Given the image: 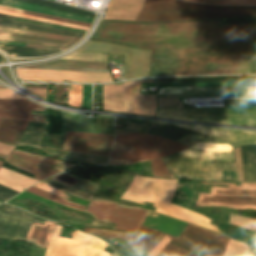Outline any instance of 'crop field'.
<instances>
[{
    "mask_svg": "<svg viewBox=\"0 0 256 256\" xmlns=\"http://www.w3.org/2000/svg\"><path fill=\"white\" fill-rule=\"evenodd\" d=\"M252 23L221 20L163 24L101 22L93 39L152 50L148 76L243 73L251 63Z\"/></svg>",
    "mask_w": 256,
    "mask_h": 256,
    "instance_id": "8a807250",
    "label": "crop field"
},
{
    "mask_svg": "<svg viewBox=\"0 0 256 256\" xmlns=\"http://www.w3.org/2000/svg\"><path fill=\"white\" fill-rule=\"evenodd\" d=\"M256 16L254 7H215L179 0H146L136 21L221 19V17Z\"/></svg>",
    "mask_w": 256,
    "mask_h": 256,
    "instance_id": "ac0d7876",
    "label": "crop field"
},
{
    "mask_svg": "<svg viewBox=\"0 0 256 256\" xmlns=\"http://www.w3.org/2000/svg\"><path fill=\"white\" fill-rule=\"evenodd\" d=\"M187 147L158 136L116 131L108 165H130L163 158Z\"/></svg>",
    "mask_w": 256,
    "mask_h": 256,
    "instance_id": "34b2d1b8",
    "label": "crop field"
},
{
    "mask_svg": "<svg viewBox=\"0 0 256 256\" xmlns=\"http://www.w3.org/2000/svg\"><path fill=\"white\" fill-rule=\"evenodd\" d=\"M178 126L209 136L198 144L176 153L182 156L234 162L233 147L256 144V133L252 132L195 126Z\"/></svg>",
    "mask_w": 256,
    "mask_h": 256,
    "instance_id": "412701ff",
    "label": "crop field"
},
{
    "mask_svg": "<svg viewBox=\"0 0 256 256\" xmlns=\"http://www.w3.org/2000/svg\"><path fill=\"white\" fill-rule=\"evenodd\" d=\"M181 115L256 116V107L159 108L156 117L197 122L256 126V117H189Z\"/></svg>",
    "mask_w": 256,
    "mask_h": 256,
    "instance_id": "f4fd0767",
    "label": "crop field"
},
{
    "mask_svg": "<svg viewBox=\"0 0 256 256\" xmlns=\"http://www.w3.org/2000/svg\"><path fill=\"white\" fill-rule=\"evenodd\" d=\"M229 185L228 188L212 187L210 194L199 193L196 206H217L234 209H256V183H203Z\"/></svg>",
    "mask_w": 256,
    "mask_h": 256,
    "instance_id": "dd49c442",
    "label": "crop field"
},
{
    "mask_svg": "<svg viewBox=\"0 0 256 256\" xmlns=\"http://www.w3.org/2000/svg\"><path fill=\"white\" fill-rule=\"evenodd\" d=\"M147 211L93 197L85 212L91 214L97 221L116 224L115 229L136 232L142 225Z\"/></svg>",
    "mask_w": 256,
    "mask_h": 256,
    "instance_id": "e52e79f7",
    "label": "crop field"
},
{
    "mask_svg": "<svg viewBox=\"0 0 256 256\" xmlns=\"http://www.w3.org/2000/svg\"><path fill=\"white\" fill-rule=\"evenodd\" d=\"M174 178L220 181L221 171H235L234 163L171 155L163 158Z\"/></svg>",
    "mask_w": 256,
    "mask_h": 256,
    "instance_id": "d8731c3e",
    "label": "crop field"
},
{
    "mask_svg": "<svg viewBox=\"0 0 256 256\" xmlns=\"http://www.w3.org/2000/svg\"><path fill=\"white\" fill-rule=\"evenodd\" d=\"M60 226H55L45 256H110L103 251L106 243L81 232L73 231V239L58 237Z\"/></svg>",
    "mask_w": 256,
    "mask_h": 256,
    "instance_id": "5a996713",
    "label": "crop field"
},
{
    "mask_svg": "<svg viewBox=\"0 0 256 256\" xmlns=\"http://www.w3.org/2000/svg\"><path fill=\"white\" fill-rule=\"evenodd\" d=\"M229 241V237L216 234L191 224L178 237L171 242L184 246L192 252L196 249L208 256H222Z\"/></svg>",
    "mask_w": 256,
    "mask_h": 256,
    "instance_id": "3316defc",
    "label": "crop field"
},
{
    "mask_svg": "<svg viewBox=\"0 0 256 256\" xmlns=\"http://www.w3.org/2000/svg\"><path fill=\"white\" fill-rule=\"evenodd\" d=\"M4 161L21 170L34 174V179L39 181L53 174L65 172L64 169L68 170L77 166L76 164L61 162L54 158L29 154L17 150L12 152Z\"/></svg>",
    "mask_w": 256,
    "mask_h": 256,
    "instance_id": "28ad6ade",
    "label": "crop field"
},
{
    "mask_svg": "<svg viewBox=\"0 0 256 256\" xmlns=\"http://www.w3.org/2000/svg\"><path fill=\"white\" fill-rule=\"evenodd\" d=\"M33 221L43 222L35 216L14 206H0V239L24 240Z\"/></svg>",
    "mask_w": 256,
    "mask_h": 256,
    "instance_id": "d1516ede",
    "label": "crop field"
},
{
    "mask_svg": "<svg viewBox=\"0 0 256 256\" xmlns=\"http://www.w3.org/2000/svg\"><path fill=\"white\" fill-rule=\"evenodd\" d=\"M113 137L114 135H99L66 131L63 149L108 157L112 146Z\"/></svg>",
    "mask_w": 256,
    "mask_h": 256,
    "instance_id": "22f410ed",
    "label": "crop field"
},
{
    "mask_svg": "<svg viewBox=\"0 0 256 256\" xmlns=\"http://www.w3.org/2000/svg\"><path fill=\"white\" fill-rule=\"evenodd\" d=\"M18 77L22 80H39V81H55L62 82L63 80L77 81V82H112L109 73H81V72H66V71H47V70H30L17 69Z\"/></svg>",
    "mask_w": 256,
    "mask_h": 256,
    "instance_id": "cbeb9de0",
    "label": "crop field"
},
{
    "mask_svg": "<svg viewBox=\"0 0 256 256\" xmlns=\"http://www.w3.org/2000/svg\"><path fill=\"white\" fill-rule=\"evenodd\" d=\"M122 199L131 201V202H135V203H139V204H141L140 202H145V201L155 203L154 207H156V212L169 215L171 217L180 219V220L188 222V223L204 226V227H207L209 229H212V230L220 233V231L217 229V227L209 224L210 220L208 218H206L200 214L191 212L189 210L183 209L181 207L175 206L173 204L146 198V197H142V196H138V195H134V194H130V193H126V192L124 193Z\"/></svg>",
    "mask_w": 256,
    "mask_h": 256,
    "instance_id": "5142ce71",
    "label": "crop field"
},
{
    "mask_svg": "<svg viewBox=\"0 0 256 256\" xmlns=\"http://www.w3.org/2000/svg\"><path fill=\"white\" fill-rule=\"evenodd\" d=\"M178 179L160 180L135 176L127 192L141 194L172 202Z\"/></svg>",
    "mask_w": 256,
    "mask_h": 256,
    "instance_id": "d9b57169",
    "label": "crop field"
},
{
    "mask_svg": "<svg viewBox=\"0 0 256 256\" xmlns=\"http://www.w3.org/2000/svg\"><path fill=\"white\" fill-rule=\"evenodd\" d=\"M256 96V87L159 88L158 97Z\"/></svg>",
    "mask_w": 256,
    "mask_h": 256,
    "instance_id": "733c2abd",
    "label": "crop field"
},
{
    "mask_svg": "<svg viewBox=\"0 0 256 256\" xmlns=\"http://www.w3.org/2000/svg\"><path fill=\"white\" fill-rule=\"evenodd\" d=\"M145 133L169 138L188 146H192L198 141L207 137L202 134L180 128L173 124L158 122H153Z\"/></svg>",
    "mask_w": 256,
    "mask_h": 256,
    "instance_id": "4a817a6b",
    "label": "crop field"
},
{
    "mask_svg": "<svg viewBox=\"0 0 256 256\" xmlns=\"http://www.w3.org/2000/svg\"><path fill=\"white\" fill-rule=\"evenodd\" d=\"M143 225L178 237L188 223L149 210Z\"/></svg>",
    "mask_w": 256,
    "mask_h": 256,
    "instance_id": "bc2a9ffb",
    "label": "crop field"
},
{
    "mask_svg": "<svg viewBox=\"0 0 256 256\" xmlns=\"http://www.w3.org/2000/svg\"><path fill=\"white\" fill-rule=\"evenodd\" d=\"M62 123L61 134H65V130L99 133L98 118L88 119L81 115L64 113Z\"/></svg>",
    "mask_w": 256,
    "mask_h": 256,
    "instance_id": "214f88e0",
    "label": "crop field"
},
{
    "mask_svg": "<svg viewBox=\"0 0 256 256\" xmlns=\"http://www.w3.org/2000/svg\"><path fill=\"white\" fill-rule=\"evenodd\" d=\"M2 5L8 6V7H13V8H18V9H23V10H28V11H33V12H38V13H43V14H48V15H53V16H58V17H63V18H68V19H73V20H78V21H83V22H88L91 24L94 20L92 18L79 16V15H75V14H71V13H67V12H62V11H58V10H54V9H49V8L32 5V4H28V3H24V2H19V1H15V0H4Z\"/></svg>",
    "mask_w": 256,
    "mask_h": 256,
    "instance_id": "92a150f3",
    "label": "crop field"
},
{
    "mask_svg": "<svg viewBox=\"0 0 256 256\" xmlns=\"http://www.w3.org/2000/svg\"><path fill=\"white\" fill-rule=\"evenodd\" d=\"M40 149H43L47 152V156L59 158L66 161H72L77 163H88L93 165H106L107 159L105 157L63 151L59 149L49 148V147H42L39 146Z\"/></svg>",
    "mask_w": 256,
    "mask_h": 256,
    "instance_id": "dafd665d",
    "label": "crop field"
},
{
    "mask_svg": "<svg viewBox=\"0 0 256 256\" xmlns=\"http://www.w3.org/2000/svg\"><path fill=\"white\" fill-rule=\"evenodd\" d=\"M29 122L3 119L0 124V141L17 145Z\"/></svg>",
    "mask_w": 256,
    "mask_h": 256,
    "instance_id": "00972430",
    "label": "crop field"
},
{
    "mask_svg": "<svg viewBox=\"0 0 256 256\" xmlns=\"http://www.w3.org/2000/svg\"><path fill=\"white\" fill-rule=\"evenodd\" d=\"M0 40L30 43V44L59 46V47H65V48H69L76 43L74 41L42 38V37H35V36L3 33V32H0Z\"/></svg>",
    "mask_w": 256,
    "mask_h": 256,
    "instance_id": "a9b5d70f",
    "label": "crop field"
},
{
    "mask_svg": "<svg viewBox=\"0 0 256 256\" xmlns=\"http://www.w3.org/2000/svg\"><path fill=\"white\" fill-rule=\"evenodd\" d=\"M37 182L38 181L27 176L21 175L3 167L0 168V184L12 188L18 192L22 191L23 188L25 189Z\"/></svg>",
    "mask_w": 256,
    "mask_h": 256,
    "instance_id": "4177f3b9",
    "label": "crop field"
},
{
    "mask_svg": "<svg viewBox=\"0 0 256 256\" xmlns=\"http://www.w3.org/2000/svg\"><path fill=\"white\" fill-rule=\"evenodd\" d=\"M54 226V222L46 220L44 224L33 223L26 238V241L37 246L46 248Z\"/></svg>",
    "mask_w": 256,
    "mask_h": 256,
    "instance_id": "730fd06b",
    "label": "crop field"
},
{
    "mask_svg": "<svg viewBox=\"0 0 256 256\" xmlns=\"http://www.w3.org/2000/svg\"><path fill=\"white\" fill-rule=\"evenodd\" d=\"M31 110L45 111V108L27 99L24 100H0V112L32 114Z\"/></svg>",
    "mask_w": 256,
    "mask_h": 256,
    "instance_id": "eef30255",
    "label": "crop field"
},
{
    "mask_svg": "<svg viewBox=\"0 0 256 256\" xmlns=\"http://www.w3.org/2000/svg\"><path fill=\"white\" fill-rule=\"evenodd\" d=\"M50 178L59 183H62V184L71 186L75 189H78L84 193L91 195V196H93L95 190L98 187V184L78 178V177L70 175L68 173L58 174V175L50 177Z\"/></svg>",
    "mask_w": 256,
    "mask_h": 256,
    "instance_id": "ae1a2a85",
    "label": "crop field"
},
{
    "mask_svg": "<svg viewBox=\"0 0 256 256\" xmlns=\"http://www.w3.org/2000/svg\"><path fill=\"white\" fill-rule=\"evenodd\" d=\"M182 185H184V187H182ZM192 185L193 182H179L172 203L192 211L193 209L188 207L192 205L194 208L197 197V194L192 189Z\"/></svg>",
    "mask_w": 256,
    "mask_h": 256,
    "instance_id": "d3111659",
    "label": "crop field"
},
{
    "mask_svg": "<svg viewBox=\"0 0 256 256\" xmlns=\"http://www.w3.org/2000/svg\"><path fill=\"white\" fill-rule=\"evenodd\" d=\"M170 82H256V76H225L186 79H159L158 83Z\"/></svg>",
    "mask_w": 256,
    "mask_h": 256,
    "instance_id": "750c4746",
    "label": "crop field"
},
{
    "mask_svg": "<svg viewBox=\"0 0 256 256\" xmlns=\"http://www.w3.org/2000/svg\"><path fill=\"white\" fill-rule=\"evenodd\" d=\"M160 234L161 232L159 231L142 226L128 244L144 250L147 249Z\"/></svg>",
    "mask_w": 256,
    "mask_h": 256,
    "instance_id": "bd1437ed",
    "label": "crop field"
},
{
    "mask_svg": "<svg viewBox=\"0 0 256 256\" xmlns=\"http://www.w3.org/2000/svg\"><path fill=\"white\" fill-rule=\"evenodd\" d=\"M37 65L108 69L107 63L67 61V60H55L52 62L37 64Z\"/></svg>",
    "mask_w": 256,
    "mask_h": 256,
    "instance_id": "1d83c4d3",
    "label": "crop field"
},
{
    "mask_svg": "<svg viewBox=\"0 0 256 256\" xmlns=\"http://www.w3.org/2000/svg\"><path fill=\"white\" fill-rule=\"evenodd\" d=\"M83 232L98 235L108 241H112L113 238L129 241L131 237L134 235L130 233H123V232L110 231V230H104V229H95V228H84Z\"/></svg>",
    "mask_w": 256,
    "mask_h": 256,
    "instance_id": "120bbe31",
    "label": "crop field"
},
{
    "mask_svg": "<svg viewBox=\"0 0 256 256\" xmlns=\"http://www.w3.org/2000/svg\"><path fill=\"white\" fill-rule=\"evenodd\" d=\"M115 123L128 124V126L126 125L127 127L123 128V129H119L121 131L144 133L146 131V129L149 127L151 122L115 118Z\"/></svg>",
    "mask_w": 256,
    "mask_h": 256,
    "instance_id": "d32e631a",
    "label": "crop field"
},
{
    "mask_svg": "<svg viewBox=\"0 0 256 256\" xmlns=\"http://www.w3.org/2000/svg\"><path fill=\"white\" fill-rule=\"evenodd\" d=\"M27 191L31 192V193H34L38 196H41L45 199H48V200H52V201H55V202H58V203H61V204H64V205H67V206H70V207H73V208H76V209H79V210H82L84 211L85 209V206H82V205H78V204H75V203H72V202H69V201H66L64 199H61L59 197H56L54 195H51L49 193H46L34 186L30 187L29 189H27Z\"/></svg>",
    "mask_w": 256,
    "mask_h": 256,
    "instance_id": "5866460e",
    "label": "crop field"
},
{
    "mask_svg": "<svg viewBox=\"0 0 256 256\" xmlns=\"http://www.w3.org/2000/svg\"><path fill=\"white\" fill-rule=\"evenodd\" d=\"M224 256H249V246L231 239Z\"/></svg>",
    "mask_w": 256,
    "mask_h": 256,
    "instance_id": "028f5c9d",
    "label": "crop field"
},
{
    "mask_svg": "<svg viewBox=\"0 0 256 256\" xmlns=\"http://www.w3.org/2000/svg\"><path fill=\"white\" fill-rule=\"evenodd\" d=\"M229 218H230V220H229L230 224H234V225L246 228V229L256 231V220H254V219L238 216V215L231 214V213L229 215Z\"/></svg>",
    "mask_w": 256,
    "mask_h": 256,
    "instance_id": "e1f06a70",
    "label": "crop field"
},
{
    "mask_svg": "<svg viewBox=\"0 0 256 256\" xmlns=\"http://www.w3.org/2000/svg\"><path fill=\"white\" fill-rule=\"evenodd\" d=\"M172 236L166 235L162 233L155 242L146 250L148 253L147 256H156L161 249L166 245L168 241H170Z\"/></svg>",
    "mask_w": 256,
    "mask_h": 256,
    "instance_id": "0bd39190",
    "label": "crop field"
},
{
    "mask_svg": "<svg viewBox=\"0 0 256 256\" xmlns=\"http://www.w3.org/2000/svg\"><path fill=\"white\" fill-rule=\"evenodd\" d=\"M63 58L107 62V55H101V54L73 52Z\"/></svg>",
    "mask_w": 256,
    "mask_h": 256,
    "instance_id": "b80d0937",
    "label": "crop field"
},
{
    "mask_svg": "<svg viewBox=\"0 0 256 256\" xmlns=\"http://www.w3.org/2000/svg\"><path fill=\"white\" fill-rule=\"evenodd\" d=\"M82 100V85H69V106L80 107Z\"/></svg>",
    "mask_w": 256,
    "mask_h": 256,
    "instance_id": "c035e120",
    "label": "crop field"
},
{
    "mask_svg": "<svg viewBox=\"0 0 256 256\" xmlns=\"http://www.w3.org/2000/svg\"><path fill=\"white\" fill-rule=\"evenodd\" d=\"M216 5H249L256 6V0H191ZM202 3V4H203Z\"/></svg>",
    "mask_w": 256,
    "mask_h": 256,
    "instance_id": "c21b1889",
    "label": "crop field"
},
{
    "mask_svg": "<svg viewBox=\"0 0 256 256\" xmlns=\"http://www.w3.org/2000/svg\"><path fill=\"white\" fill-rule=\"evenodd\" d=\"M159 87H199V86H256V83H220V84H158Z\"/></svg>",
    "mask_w": 256,
    "mask_h": 256,
    "instance_id": "03da06ac",
    "label": "crop field"
},
{
    "mask_svg": "<svg viewBox=\"0 0 256 256\" xmlns=\"http://www.w3.org/2000/svg\"><path fill=\"white\" fill-rule=\"evenodd\" d=\"M0 13L13 15V16H18V17H23V18H28V19H33V20H38V21H43V22H48V23H53V24H58V25H63V26H68V27H73V28H78V29H83V30H88L87 27L77 26V25H73V24H68V23H63V22H58V21H53V20L28 16V15H23V14H18V13L3 11V10H0Z\"/></svg>",
    "mask_w": 256,
    "mask_h": 256,
    "instance_id": "b54c1fbb",
    "label": "crop field"
},
{
    "mask_svg": "<svg viewBox=\"0 0 256 256\" xmlns=\"http://www.w3.org/2000/svg\"><path fill=\"white\" fill-rule=\"evenodd\" d=\"M153 176L172 178L162 159L150 161Z\"/></svg>",
    "mask_w": 256,
    "mask_h": 256,
    "instance_id": "5d738f31",
    "label": "crop field"
},
{
    "mask_svg": "<svg viewBox=\"0 0 256 256\" xmlns=\"http://www.w3.org/2000/svg\"><path fill=\"white\" fill-rule=\"evenodd\" d=\"M43 182H45V183H47V184H49V185H51V186H53V187H55V188H57V189H60V190H62V191H65V192H67V193H69V194H72V195H75V196H77V197H80V198H82V199H84V200H88V201H90V199H91V196H89V195H86V194H84V193H81V192H79V191H76V190H74V189H71V188H69V187H66V186H64V185H61V184H59V183H57V182H55V181H53V180H51V179H46V180H44Z\"/></svg>",
    "mask_w": 256,
    "mask_h": 256,
    "instance_id": "d23c7cc5",
    "label": "crop field"
},
{
    "mask_svg": "<svg viewBox=\"0 0 256 256\" xmlns=\"http://www.w3.org/2000/svg\"><path fill=\"white\" fill-rule=\"evenodd\" d=\"M0 31L20 33V34H28V35H36V36H43V37H51V38H58V39H66V40H74V41L80 40L78 38H71V37L51 35V34H44V33L24 31V30H17V29L4 28V27H0Z\"/></svg>",
    "mask_w": 256,
    "mask_h": 256,
    "instance_id": "425ffa30",
    "label": "crop field"
},
{
    "mask_svg": "<svg viewBox=\"0 0 256 256\" xmlns=\"http://www.w3.org/2000/svg\"><path fill=\"white\" fill-rule=\"evenodd\" d=\"M0 118L25 120V121H33V122H40V123L44 122V117L30 116V115H18V114L0 113Z\"/></svg>",
    "mask_w": 256,
    "mask_h": 256,
    "instance_id": "25e5ab78",
    "label": "crop field"
},
{
    "mask_svg": "<svg viewBox=\"0 0 256 256\" xmlns=\"http://www.w3.org/2000/svg\"><path fill=\"white\" fill-rule=\"evenodd\" d=\"M20 68L47 69V70H66V71H81V72H97V73H107V72H109V71H102V70L63 68V67H45V66H27V67H20Z\"/></svg>",
    "mask_w": 256,
    "mask_h": 256,
    "instance_id": "73cf0c24",
    "label": "crop field"
},
{
    "mask_svg": "<svg viewBox=\"0 0 256 256\" xmlns=\"http://www.w3.org/2000/svg\"><path fill=\"white\" fill-rule=\"evenodd\" d=\"M35 186L40 188V189H42V190H44V191H47V192H49L51 194H54V195L59 196L61 198H64L66 200L69 199V197L66 196L67 193L62 192L60 190H57V189H55V188H53V187H51V186H49V185H47V184H45L43 182H41V183H39V184H37Z\"/></svg>",
    "mask_w": 256,
    "mask_h": 256,
    "instance_id": "89e229c0",
    "label": "crop field"
},
{
    "mask_svg": "<svg viewBox=\"0 0 256 256\" xmlns=\"http://www.w3.org/2000/svg\"><path fill=\"white\" fill-rule=\"evenodd\" d=\"M63 91H64V85H54V102L63 104Z\"/></svg>",
    "mask_w": 256,
    "mask_h": 256,
    "instance_id": "1f2cbd36",
    "label": "crop field"
},
{
    "mask_svg": "<svg viewBox=\"0 0 256 256\" xmlns=\"http://www.w3.org/2000/svg\"><path fill=\"white\" fill-rule=\"evenodd\" d=\"M0 98L4 99H22L23 97L19 96L18 94L14 93L9 89H0Z\"/></svg>",
    "mask_w": 256,
    "mask_h": 256,
    "instance_id": "dbb93151",
    "label": "crop field"
},
{
    "mask_svg": "<svg viewBox=\"0 0 256 256\" xmlns=\"http://www.w3.org/2000/svg\"><path fill=\"white\" fill-rule=\"evenodd\" d=\"M224 106H256V101H224Z\"/></svg>",
    "mask_w": 256,
    "mask_h": 256,
    "instance_id": "0fb4a251",
    "label": "crop field"
},
{
    "mask_svg": "<svg viewBox=\"0 0 256 256\" xmlns=\"http://www.w3.org/2000/svg\"><path fill=\"white\" fill-rule=\"evenodd\" d=\"M168 256H195L193 253L176 246Z\"/></svg>",
    "mask_w": 256,
    "mask_h": 256,
    "instance_id": "1d79db26",
    "label": "crop field"
},
{
    "mask_svg": "<svg viewBox=\"0 0 256 256\" xmlns=\"http://www.w3.org/2000/svg\"><path fill=\"white\" fill-rule=\"evenodd\" d=\"M175 247V245L168 243L166 247L159 253L158 256H167V254Z\"/></svg>",
    "mask_w": 256,
    "mask_h": 256,
    "instance_id": "9d1cf04e",
    "label": "crop field"
},
{
    "mask_svg": "<svg viewBox=\"0 0 256 256\" xmlns=\"http://www.w3.org/2000/svg\"><path fill=\"white\" fill-rule=\"evenodd\" d=\"M26 47H30V48H40V49H50V50H64V48L47 47V46H38V45H30V44H26Z\"/></svg>",
    "mask_w": 256,
    "mask_h": 256,
    "instance_id": "447ae74e",
    "label": "crop field"
},
{
    "mask_svg": "<svg viewBox=\"0 0 256 256\" xmlns=\"http://www.w3.org/2000/svg\"><path fill=\"white\" fill-rule=\"evenodd\" d=\"M0 44L25 47V44H22V43H14V42H6V41H0Z\"/></svg>",
    "mask_w": 256,
    "mask_h": 256,
    "instance_id": "0765c3eb",
    "label": "crop field"
},
{
    "mask_svg": "<svg viewBox=\"0 0 256 256\" xmlns=\"http://www.w3.org/2000/svg\"><path fill=\"white\" fill-rule=\"evenodd\" d=\"M0 7H3V6H0ZM3 8H8V7H3ZM8 9H12V8H8ZM13 10H17V9H13ZM18 11H22V10H18ZM23 12H27V11H23ZM28 13H32V12H28ZM33 14H36V13H33ZM38 15H41V14H38ZM42 16H46V15H42ZM47 17H51V16H47ZM52 18H56V17H52ZM57 19H60V18H57ZM62 20H65V19H62ZM67 21H70V20H67ZM72 22H75V21H72ZM77 23H80V22H77ZM84 24V23H82ZM89 25V24H87Z\"/></svg>",
    "mask_w": 256,
    "mask_h": 256,
    "instance_id": "db79e9e6",
    "label": "crop field"
},
{
    "mask_svg": "<svg viewBox=\"0 0 256 256\" xmlns=\"http://www.w3.org/2000/svg\"><path fill=\"white\" fill-rule=\"evenodd\" d=\"M0 9H3V8H0ZM5 10H8V9H5ZM9 11H13V10H9ZM14 12H18V11H14ZM19 13H23V12H19ZM24 14H28V13H24ZM29 15H33V14H29ZM34 16H38V15H34ZM39 17H42V16H39ZM44 18H47V17H44ZM49 19H52V18H49ZM54 20H57V19H54ZM59 21H62V20H59ZM64 22H67V21H64ZM69 23H72V22H69ZM74 24H77V23H74ZM79 25H82V24H79ZM84 26H87V25H84Z\"/></svg>",
    "mask_w": 256,
    "mask_h": 256,
    "instance_id": "7b73153f",
    "label": "crop field"
},
{
    "mask_svg": "<svg viewBox=\"0 0 256 256\" xmlns=\"http://www.w3.org/2000/svg\"><path fill=\"white\" fill-rule=\"evenodd\" d=\"M141 87H156V84H141Z\"/></svg>",
    "mask_w": 256,
    "mask_h": 256,
    "instance_id": "78b8030e",
    "label": "crop field"
},
{
    "mask_svg": "<svg viewBox=\"0 0 256 256\" xmlns=\"http://www.w3.org/2000/svg\"><path fill=\"white\" fill-rule=\"evenodd\" d=\"M111 256H120L119 254H117L115 251Z\"/></svg>",
    "mask_w": 256,
    "mask_h": 256,
    "instance_id": "0f1d7ab4",
    "label": "crop field"
},
{
    "mask_svg": "<svg viewBox=\"0 0 256 256\" xmlns=\"http://www.w3.org/2000/svg\"><path fill=\"white\" fill-rule=\"evenodd\" d=\"M26 88H32V89H46V88H35V87H26Z\"/></svg>",
    "mask_w": 256,
    "mask_h": 256,
    "instance_id": "e1d0b9f6",
    "label": "crop field"
},
{
    "mask_svg": "<svg viewBox=\"0 0 256 256\" xmlns=\"http://www.w3.org/2000/svg\"><path fill=\"white\" fill-rule=\"evenodd\" d=\"M254 251H256V239H255V242H254Z\"/></svg>",
    "mask_w": 256,
    "mask_h": 256,
    "instance_id": "ae633e8c",
    "label": "crop field"
},
{
    "mask_svg": "<svg viewBox=\"0 0 256 256\" xmlns=\"http://www.w3.org/2000/svg\"><path fill=\"white\" fill-rule=\"evenodd\" d=\"M1 158H3V159H5L6 157H2V156H0ZM4 163V162H3ZM1 164H2V161H0V166H1Z\"/></svg>",
    "mask_w": 256,
    "mask_h": 256,
    "instance_id": "d14b1444",
    "label": "crop field"
},
{
    "mask_svg": "<svg viewBox=\"0 0 256 256\" xmlns=\"http://www.w3.org/2000/svg\"><path fill=\"white\" fill-rule=\"evenodd\" d=\"M1 88H5V87H1Z\"/></svg>",
    "mask_w": 256,
    "mask_h": 256,
    "instance_id": "c39391a2",
    "label": "crop field"
},
{
    "mask_svg": "<svg viewBox=\"0 0 256 256\" xmlns=\"http://www.w3.org/2000/svg\"><path fill=\"white\" fill-rule=\"evenodd\" d=\"M2 202H0V204H1Z\"/></svg>",
    "mask_w": 256,
    "mask_h": 256,
    "instance_id": "ade564c9",
    "label": "crop field"
},
{
    "mask_svg": "<svg viewBox=\"0 0 256 256\" xmlns=\"http://www.w3.org/2000/svg\"><path fill=\"white\" fill-rule=\"evenodd\" d=\"M0 121H1V119H0Z\"/></svg>",
    "mask_w": 256,
    "mask_h": 256,
    "instance_id": "c5b07064",
    "label": "crop field"
},
{
    "mask_svg": "<svg viewBox=\"0 0 256 256\" xmlns=\"http://www.w3.org/2000/svg\"><path fill=\"white\" fill-rule=\"evenodd\" d=\"M1 86V85H0Z\"/></svg>",
    "mask_w": 256,
    "mask_h": 256,
    "instance_id": "c3a83c6f",
    "label": "crop field"
}]
</instances>
